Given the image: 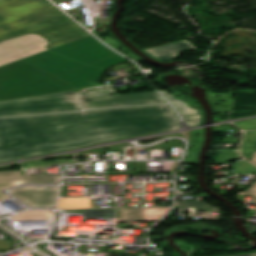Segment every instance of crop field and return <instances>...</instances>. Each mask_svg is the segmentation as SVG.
I'll list each match as a JSON object with an SVG mask.
<instances>
[{"instance_id": "obj_1", "label": "crop field", "mask_w": 256, "mask_h": 256, "mask_svg": "<svg viewBox=\"0 0 256 256\" xmlns=\"http://www.w3.org/2000/svg\"><path fill=\"white\" fill-rule=\"evenodd\" d=\"M80 28L47 0H0V65L22 59L78 88L127 61Z\"/></svg>"}, {"instance_id": "obj_2", "label": "crop field", "mask_w": 256, "mask_h": 256, "mask_svg": "<svg viewBox=\"0 0 256 256\" xmlns=\"http://www.w3.org/2000/svg\"><path fill=\"white\" fill-rule=\"evenodd\" d=\"M169 105L0 119V162L178 128Z\"/></svg>"}, {"instance_id": "obj_3", "label": "crop field", "mask_w": 256, "mask_h": 256, "mask_svg": "<svg viewBox=\"0 0 256 256\" xmlns=\"http://www.w3.org/2000/svg\"><path fill=\"white\" fill-rule=\"evenodd\" d=\"M67 89L73 87L22 60L0 66V99Z\"/></svg>"}, {"instance_id": "obj_4", "label": "crop field", "mask_w": 256, "mask_h": 256, "mask_svg": "<svg viewBox=\"0 0 256 256\" xmlns=\"http://www.w3.org/2000/svg\"><path fill=\"white\" fill-rule=\"evenodd\" d=\"M75 91L0 102V117L80 110Z\"/></svg>"}, {"instance_id": "obj_5", "label": "crop field", "mask_w": 256, "mask_h": 256, "mask_svg": "<svg viewBox=\"0 0 256 256\" xmlns=\"http://www.w3.org/2000/svg\"><path fill=\"white\" fill-rule=\"evenodd\" d=\"M84 109L140 105L165 102L156 92L93 96L80 98Z\"/></svg>"}, {"instance_id": "obj_6", "label": "crop field", "mask_w": 256, "mask_h": 256, "mask_svg": "<svg viewBox=\"0 0 256 256\" xmlns=\"http://www.w3.org/2000/svg\"><path fill=\"white\" fill-rule=\"evenodd\" d=\"M58 187H20L9 191L24 204L36 208H54Z\"/></svg>"}, {"instance_id": "obj_7", "label": "crop field", "mask_w": 256, "mask_h": 256, "mask_svg": "<svg viewBox=\"0 0 256 256\" xmlns=\"http://www.w3.org/2000/svg\"><path fill=\"white\" fill-rule=\"evenodd\" d=\"M61 175H20V172L0 173V200L9 198L3 190L18 184L58 183Z\"/></svg>"}, {"instance_id": "obj_8", "label": "crop field", "mask_w": 256, "mask_h": 256, "mask_svg": "<svg viewBox=\"0 0 256 256\" xmlns=\"http://www.w3.org/2000/svg\"><path fill=\"white\" fill-rule=\"evenodd\" d=\"M169 208L120 209V222L156 221Z\"/></svg>"}, {"instance_id": "obj_9", "label": "crop field", "mask_w": 256, "mask_h": 256, "mask_svg": "<svg viewBox=\"0 0 256 256\" xmlns=\"http://www.w3.org/2000/svg\"><path fill=\"white\" fill-rule=\"evenodd\" d=\"M190 49H194L193 45L188 41L184 40L161 47L146 49L145 51L151 56L157 58L158 60L172 61L178 56L179 53Z\"/></svg>"}, {"instance_id": "obj_10", "label": "crop field", "mask_w": 256, "mask_h": 256, "mask_svg": "<svg viewBox=\"0 0 256 256\" xmlns=\"http://www.w3.org/2000/svg\"><path fill=\"white\" fill-rule=\"evenodd\" d=\"M178 109L179 113L183 115L184 120L189 126H195L200 124L201 114L200 110H194L187 106L183 101H179L172 97L165 91H161Z\"/></svg>"}, {"instance_id": "obj_11", "label": "crop field", "mask_w": 256, "mask_h": 256, "mask_svg": "<svg viewBox=\"0 0 256 256\" xmlns=\"http://www.w3.org/2000/svg\"><path fill=\"white\" fill-rule=\"evenodd\" d=\"M59 209L94 208L93 200L88 198L60 199Z\"/></svg>"}, {"instance_id": "obj_12", "label": "crop field", "mask_w": 256, "mask_h": 256, "mask_svg": "<svg viewBox=\"0 0 256 256\" xmlns=\"http://www.w3.org/2000/svg\"><path fill=\"white\" fill-rule=\"evenodd\" d=\"M53 212L51 211H29L21 215L11 217L13 220H33V219H51Z\"/></svg>"}, {"instance_id": "obj_13", "label": "crop field", "mask_w": 256, "mask_h": 256, "mask_svg": "<svg viewBox=\"0 0 256 256\" xmlns=\"http://www.w3.org/2000/svg\"><path fill=\"white\" fill-rule=\"evenodd\" d=\"M175 206H183V207H200L206 209L208 211H217L218 209L207 205L200 201H186V202H176Z\"/></svg>"}, {"instance_id": "obj_14", "label": "crop field", "mask_w": 256, "mask_h": 256, "mask_svg": "<svg viewBox=\"0 0 256 256\" xmlns=\"http://www.w3.org/2000/svg\"><path fill=\"white\" fill-rule=\"evenodd\" d=\"M104 94H115V92L113 89L97 90V91H93V93H89V94L81 93L80 97L93 96V95H104Z\"/></svg>"}, {"instance_id": "obj_15", "label": "crop field", "mask_w": 256, "mask_h": 256, "mask_svg": "<svg viewBox=\"0 0 256 256\" xmlns=\"http://www.w3.org/2000/svg\"><path fill=\"white\" fill-rule=\"evenodd\" d=\"M240 195H253V202L256 203V183L252 184L247 192H240Z\"/></svg>"}, {"instance_id": "obj_16", "label": "crop field", "mask_w": 256, "mask_h": 256, "mask_svg": "<svg viewBox=\"0 0 256 256\" xmlns=\"http://www.w3.org/2000/svg\"><path fill=\"white\" fill-rule=\"evenodd\" d=\"M256 173V167L252 166L251 170H241V171H234V174H254Z\"/></svg>"}, {"instance_id": "obj_17", "label": "crop field", "mask_w": 256, "mask_h": 256, "mask_svg": "<svg viewBox=\"0 0 256 256\" xmlns=\"http://www.w3.org/2000/svg\"><path fill=\"white\" fill-rule=\"evenodd\" d=\"M254 164H256V152H255V154H254V156H253V158H252V160H251Z\"/></svg>"}]
</instances>
